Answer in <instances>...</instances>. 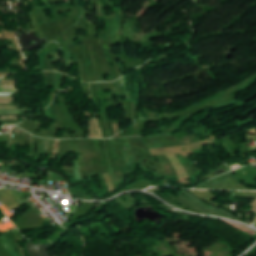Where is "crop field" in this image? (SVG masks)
<instances>
[{"label":"crop field","instance_id":"1","mask_svg":"<svg viewBox=\"0 0 256 256\" xmlns=\"http://www.w3.org/2000/svg\"><path fill=\"white\" fill-rule=\"evenodd\" d=\"M175 192H176V191H175ZM177 193H178V192H177ZM178 194H179V198H181L182 200H184V201H186L187 203L191 204L192 206H194V207H196V208H198V209H200V210H202V211H204V212H206V213H208V214H210V215L222 216V215H220V214H218V213H216V212H214V211H211V210H209V209H207V208H205V207H203V206H201V205H199V204L193 202L192 200L186 198L183 194H181V193H178Z\"/></svg>","mask_w":256,"mask_h":256},{"label":"crop field","instance_id":"2","mask_svg":"<svg viewBox=\"0 0 256 256\" xmlns=\"http://www.w3.org/2000/svg\"><path fill=\"white\" fill-rule=\"evenodd\" d=\"M182 192V191H181ZM183 194H185L186 196H188L189 198H191L192 200H194V201H196V202H198V203H201V204H204L200 199H198V198H196L195 196H193L192 194H190V193H187V192H182ZM206 205V204H205ZM212 209H214V210H216V211H218V212H220V213H222V214H224V215H226V216H228V217H230V218H232V219H234V220H236V221H240V222H244V221H242V220H240V219H238V218H236V217H234L233 215H231L228 211H226V210H223V209H216V208H212ZM244 223H246V222H244ZM248 224V223H247Z\"/></svg>","mask_w":256,"mask_h":256},{"label":"crop field","instance_id":"3","mask_svg":"<svg viewBox=\"0 0 256 256\" xmlns=\"http://www.w3.org/2000/svg\"><path fill=\"white\" fill-rule=\"evenodd\" d=\"M248 204L251 207V209L254 211V213L256 214V200H254Z\"/></svg>","mask_w":256,"mask_h":256},{"label":"crop field","instance_id":"4","mask_svg":"<svg viewBox=\"0 0 256 256\" xmlns=\"http://www.w3.org/2000/svg\"><path fill=\"white\" fill-rule=\"evenodd\" d=\"M77 2H78V4H79L80 12H81V14L83 15V14H84V12H83L82 6L80 5V3H79V1H78V0H77Z\"/></svg>","mask_w":256,"mask_h":256},{"label":"crop field","instance_id":"5","mask_svg":"<svg viewBox=\"0 0 256 256\" xmlns=\"http://www.w3.org/2000/svg\"><path fill=\"white\" fill-rule=\"evenodd\" d=\"M44 3V5H47V4H49V3H45V2H43Z\"/></svg>","mask_w":256,"mask_h":256},{"label":"crop field","instance_id":"6","mask_svg":"<svg viewBox=\"0 0 256 256\" xmlns=\"http://www.w3.org/2000/svg\"><path fill=\"white\" fill-rule=\"evenodd\" d=\"M43 1H47V0H43Z\"/></svg>","mask_w":256,"mask_h":256},{"label":"crop field","instance_id":"7","mask_svg":"<svg viewBox=\"0 0 256 256\" xmlns=\"http://www.w3.org/2000/svg\"><path fill=\"white\" fill-rule=\"evenodd\" d=\"M253 226H256V224H255V225H253Z\"/></svg>","mask_w":256,"mask_h":256}]
</instances>
